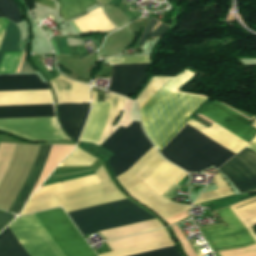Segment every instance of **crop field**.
I'll return each instance as SVG.
<instances>
[{
    "label": "crop field",
    "instance_id": "obj_15",
    "mask_svg": "<svg viewBox=\"0 0 256 256\" xmlns=\"http://www.w3.org/2000/svg\"><path fill=\"white\" fill-rule=\"evenodd\" d=\"M172 245H174V244H173L172 240L169 239V240H165V241L141 245V246L132 247V248H128V249L104 253V254H100L99 256H128V255H133V254L146 252V251H150V250H155V249L168 247V246H172ZM133 256H180V255L177 252L175 246H172V247L159 249V250H155V251H150V252L137 254V255H133Z\"/></svg>",
    "mask_w": 256,
    "mask_h": 256
},
{
    "label": "crop field",
    "instance_id": "obj_9",
    "mask_svg": "<svg viewBox=\"0 0 256 256\" xmlns=\"http://www.w3.org/2000/svg\"><path fill=\"white\" fill-rule=\"evenodd\" d=\"M93 99L92 102L96 101V92L92 93ZM125 98L116 96L112 93L105 95L104 101H111V112L110 111V102H94L92 103L91 114L89 117V122L83 132V135L80 141L90 142L97 144L100 135L103 131L105 122V128L101 135V138L98 142L100 146L108 137L109 132L112 128L113 123L118 118L124 104Z\"/></svg>",
    "mask_w": 256,
    "mask_h": 256
},
{
    "label": "crop field",
    "instance_id": "obj_16",
    "mask_svg": "<svg viewBox=\"0 0 256 256\" xmlns=\"http://www.w3.org/2000/svg\"><path fill=\"white\" fill-rule=\"evenodd\" d=\"M99 183H100V181L98 180L96 175L79 178V179H75V180H70V181H66L64 183H58V184L39 188L37 190V192L30 198V200L39 198V197H43V196H47V195H51V194H56V193L74 190V189H78V188H82V187H86V186H91V185H95V184H99Z\"/></svg>",
    "mask_w": 256,
    "mask_h": 256
},
{
    "label": "crop field",
    "instance_id": "obj_25",
    "mask_svg": "<svg viewBox=\"0 0 256 256\" xmlns=\"http://www.w3.org/2000/svg\"><path fill=\"white\" fill-rule=\"evenodd\" d=\"M221 256H256V245L233 251L219 252Z\"/></svg>",
    "mask_w": 256,
    "mask_h": 256
},
{
    "label": "crop field",
    "instance_id": "obj_29",
    "mask_svg": "<svg viewBox=\"0 0 256 256\" xmlns=\"http://www.w3.org/2000/svg\"><path fill=\"white\" fill-rule=\"evenodd\" d=\"M13 218L12 215L0 212V230Z\"/></svg>",
    "mask_w": 256,
    "mask_h": 256
},
{
    "label": "crop field",
    "instance_id": "obj_35",
    "mask_svg": "<svg viewBox=\"0 0 256 256\" xmlns=\"http://www.w3.org/2000/svg\"><path fill=\"white\" fill-rule=\"evenodd\" d=\"M103 5L108 3L110 0H99Z\"/></svg>",
    "mask_w": 256,
    "mask_h": 256
},
{
    "label": "crop field",
    "instance_id": "obj_12",
    "mask_svg": "<svg viewBox=\"0 0 256 256\" xmlns=\"http://www.w3.org/2000/svg\"><path fill=\"white\" fill-rule=\"evenodd\" d=\"M127 191L164 219L190 209V206L171 202L161 197L142 182Z\"/></svg>",
    "mask_w": 256,
    "mask_h": 256
},
{
    "label": "crop field",
    "instance_id": "obj_5",
    "mask_svg": "<svg viewBox=\"0 0 256 256\" xmlns=\"http://www.w3.org/2000/svg\"><path fill=\"white\" fill-rule=\"evenodd\" d=\"M152 147L140 123L133 121L106 148L114 154L107 162L115 177L128 171ZM163 160L153 147L117 179L127 190L144 180ZM183 172L164 160L143 182L161 195Z\"/></svg>",
    "mask_w": 256,
    "mask_h": 256
},
{
    "label": "crop field",
    "instance_id": "obj_22",
    "mask_svg": "<svg viewBox=\"0 0 256 256\" xmlns=\"http://www.w3.org/2000/svg\"><path fill=\"white\" fill-rule=\"evenodd\" d=\"M1 16L15 23L24 20L14 0H0V17Z\"/></svg>",
    "mask_w": 256,
    "mask_h": 256
},
{
    "label": "crop field",
    "instance_id": "obj_4",
    "mask_svg": "<svg viewBox=\"0 0 256 256\" xmlns=\"http://www.w3.org/2000/svg\"><path fill=\"white\" fill-rule=\"evenodd\" d=\"M102 184L55 195L66 212L126 199L109 179L103 165L95 172ZM82 235L154 219L129 199L68 213Z\"/></svg>",
    "mask_w": 256,
    "mask_h": 256
},
{
    "label": "crop field",
    "instance_id": "obj_7",
    "mask_svg": "<svg viewBox=\"0 0 256 256\" xmlns=\"http://www.w3.org/2000/svg\"><path fill=\"white\" fill-rule=\"evenodd\" d=\"M230 207L256 241V233L251 228L256 224V196ZM231 210L229 207L217 210L229 227L223 228L222 225H219L201 229L214 251L255 244Z\"/></svg>",
    "mask_w": 256,
    "mask_h": 256
},
{
    "label": "crop field",
    "instance_id": "obj_13",
    "mask_svg": "<svg viewBox=\"0 0 256 256\" xmlns=\"http://www.w3.org/2000/svg\"><path fill=\"white\" fill-rule=\"evenodd\" d=\"M90 103L59 104L58 116L64 130L78 140L88 117Z\"/></svg>",
    "mask_w": 256,
    "mask_h": 256
},
{
    "label": "crop field",
    "instance_id": "obj_2",
    "mask_svg": "<svg viewBox=\"0 0 256 256\" xmlns=\"http://www.w3.org/2000/svg\"><path fill=\"white\" fill-rule=\"evenodd\" d=\"M65 256H96L61 208L34 214ZM33 214L8 227L29 256H64ZM8 227L0 234V256H28Z\"/></svg>",
    "mask_w": 256,
    "mask_h": 256
},
{
    "label": "crop field",
    "instance_id": "obj_31",
    "mask_svg": "<svg viewBox=\"0 0 256 256\" xmlns=\"http://www.w3.org/2000/svg\"><path fill=\"white\" fill-rule=\"evenodd\" d=\"M62 40H63L64 46H65L66 53H67V54H69V50H68V47H67L66 40H65V39H62ZM62 40H61V39H59V41H60V45H61V49H62V53H63V54H66V53H65V50H64V47H63ZM51 42H52V44H53V46H54V48H55V50H56V54H57V55H59V54H58V51H57V49H56V46H55L54 41H53V40H51Z\"/></svg>",
    "mask_w": 256,
    "mask_h": 256
},
{
    "label": "crop field",
    "instance_id": "obj_32",
    "mask_svg": "<svg viewBox=\"0 0 256 256\" xmlns=\"http://www.w3.org/2000/svg\"><path fill=\"white\" fill-rule=\"evenodd\" d=\"M35 1L55 9L54 2L51 0H35Z\"/></svg>",
    "mask_w": 256,
    "mask_h": 256
},
{
    "label": "crop field",
    "instance_id": "obj_10",
    "mask_svg": "<svg viewBox=\"0 0 256 256\" xmlns=\"http://www.w3.org/2000/svg\"><path fill=\"white\" fill-rule=\"evenodd\" d=\"M241 192L256 191V154L244 149L219 168Z\"/></svg>",
    "mask_w": 256,
    "mask_h": 256
},
{
    "label": "crop field",
    "instance_id": "obj_3",
    "mask_svg": "<svg viewBox=\"0 0 256 256\" xmlns=\"http://www.w3.org/2000/svg\"><path fill=\"white\" fill-rule=\"evenodd\" d=\"M48 89L37 74L0 76V91ZM52 103L50 90L0 92L1 105ZM54 116L52 104L1 106L0 118ZM0 129L32 141L67 139L55 123V117L0 119Z\"/></svg>",
    "mask_w": 256,
    "mask_h": 256
},
{
    "label": "crop field",
    "instance_id": "obj_21",
    "mask_svg": "<svg viewBox=\"0 0 256 256\" xmlns=\"http://www.w3.org/2000/svg\"><path fill=\"white\" fill-rule=\"evenodd\" d=\"M97 159L85 153L79 148L65 158L59 166H87L92 165Z\"/></svg>",
    "mask_w": 256,
    "mask_h": 256
},
{
    "label": "crop field",
    "instance_id": "obj_33",
    "mask_svg": "<svg viewBox=\"0 0 256 256\" xmlns=\"http://www.w3.org/2000/svg\"><path fill=\"white\" fill-rule=\"evenodd\" d=\"M256 139V138H255ZM253 140L251 143L247 145L248 148L252 149L256 153V140Z\"/></svg>",
    "mask_w": 256,
    "mask_h": 256
},
{
    "label": "crop field",
    "instance_id": "obj_11",
    "mask_svg": "<svg viewBox=\"0 0 256 256\" xmlns=\"http://www.w3.org/2000/svg\"><path fill=\"white\" fill-rule=\"evenodd\" d=\"M148 64L113 65L109 91L129 96L143 82Z\"/></svg>",
    "mask_w": 256,
    "mask_h": 256
},
{
    "label": "crop field",
    "instance_id": "obj_18",
    "mask_svg": "<svg viewBox=\"0 0 256 256\" xmlns=\"http://www.w3.org/2000/svg\"><path fill=\"white\" fill-rule=\"evenodd\" d=\"M60 5V15L67 21L86 12L84 9L98 3L96 0H56Z\"/></svg>",
    "mask_w": 256,
    "mask_h": 256
},
{
    "label": "crop field",
    "instance_id": "obj_23",
    "mask_svg": "<svg viewBox=\"0 0 256 256\" xmlns=\"http://www.w3.org/2000/svg\"><path fill=\"white\" fill-rule=\"evenodd\" d=\"M23 52L0 53V73L15 72Z\"/></svg>",
    "mask_w": 256,
    "mask_h": 256
},
{
    "label": "crop field",
    "instance_id": "obj_26",
    "mask_svg": "<svg viewBox=\"0 0 256 256\" xmlns=\"http://www.w3.org/2000/svg\"><path fill=\"white\" fill-rule=\"evenodd\" d=\"M109 64L148 63V57H113L108 58Z\"/></svg>",
    "mask_w": 256,
    "mask_h": 256
},
{
    "label": "crop field",
    "instance_id": "obj_8",
    "mask_svg": "<svg viewBox=\"0 0 256 256\" xmlns=\"http://www.w3.org/2000/svg\"><path fill=\"white\" fill-rule=\"evenodd\" d=\"M25 144L0 143V205L8 194L17 173ZM48 145H38L29 178L9 212L18 214L37 188Z\"/></svg>",
    "mask_w": 256,
    "mask_h": 256
},
{
    "label": "crop field",
    "instance_id": "obj_1",
    "mask_svg": "<svg viewBox=\"0 0 256 256\" xmlns=\"http://www.w3.org/2000/svg\"><path fill=\"white\" fill-rule=\"evenodd\" d=\"M201 114L249 142L256 135V119L252 127L249 125L251 121L217 101L206 107ZM190 119L186 123L236 153L249 143L215 123L207 129ZM188 124L181 127L178 134L169 140L170 143L161 149L166 159L187 171H201L211 165L218 168L236 154Z\"/></svg>",
    "mask_w": 256,
    "mask_h": 256
},
{
    "label": "crop field",
    "instance_id": "obj_27",
    "mask_svg": "<svg viewBox=\"0 0 256 256\" xmlns=\"http://www.w3.org/2000/svg\"><path fill=\"white\" fill-rule=\"evenodd\" d=\"M172 228H173L174 232L176 233V235L178 236V238L180 239L182 246H183L184 250L186 251V253L188 254V256L196 255L194 250L192 249V247L186 240L185 236L181 232L180 228L177 225H173Z\"/></svg>",
    "mask_w": 256,
    "mask_h": 256
},
{
    "label": "crop field",
    "instance_id": "obj_34",
    "mask_svg": "<svg viewBox=\"0 0 256 256\" xmlns=\"http://www.w3.org/2000/svg\"><path fill=\"white\" fill-rule=\"evenodd\" d=\"M71 23H72V25L77 29V31H78L79 33H82V32L80 31V29L75 25V23H74L73 21H71Z\"/></svg>",
    "mask_w": 256,
    "mask_h": 256
},
{
    "label": "crop field",
    "instance_id": "obj_6",
    "mask_svg": "<svg viewBox=\"0 0 256 256\" xmlns=\"http://www.w3.org/2000/svg\"><path fill=\"white\" fill-rule=\"evenodd\" d=\"M195 74L185 71L171 78L153 77L148 87L137 98L146 133L157 147H161L174 131L206 98L175 92Z\"/></svg>",
    "mask_w": 256,
    "mask_h": 256
},
{
    "label": "crop field",
    "instance_id": "obj_30",
    "mask_svg": "<svg viewBox=\"0 0 256 256\" xmlns=\"http://www.w3.org/2000/svg\"><path fill=\"white\" fill-rule=\"evenodd\" d=\"M186 218H187V217H186L185 213L183 212V213H181V214H179V215H176V216H174V217H171V218H169V219H166V221H167V223H168L169 225H171V224H173V223L179 222V221L184 220V219H186Z\"/></svg>",
    "mask_w": 256,
    "mask_h": 256
},
{
    "label": "crop field",
    "instance_id": "obj_20",
    "mask_svg": "<svg viewBox=\"0 0 256 256\" xmlns=\"http://www.w3.org/2000/svg\"><path fill=\"white\" fill-rule=\"evenodd\" d=\"M214 179L218 190L201 194L194 205L200 204L207 200L232 195V192L230 191L225 181L222 180L220 174L214 176Z\"/></svg>",
    "mask_w": 256,
    "mask_h": 256
},
{
    "label": "crop field",
    "instance_id": "obj_14",
    "mask_svg": "<svg viewBox=\"0 0 256 256\" xmlns=\"http://www.w3.org/2000/svg\"><path fill=\"white\" fill-rule=\"evenodd\" d=\"M50 83L54 88L58 103L90 101V87L88 85L69 81L62 76L50 80Z\"/></svg>",
    "mask_w": 256,
    "mask_h": 256
},
{
    "label": "crop field",
    "instance_id": "obj_19",
    "mask_svg": "<svg viewBox=\"0 0 256 256\" xmlns=\"http://www.w3.org/2000/svg\"><path fill=\"white\" fill-rule=\"evenodd\" d=\"M60 206L54 195L28 201L20 215Z\"/></svg>",
    "mask_w": 256,
    "mask_h": 256
},
{
    "label": "crop field",
    "instance_id": "obj_24",
    "mask_svg": "<svg viewBox=\"0 0 256 256\" xmlns=\"http://www.w3.org/2000/svg\"><path fill=\"white\" fill-rule=\"evenodd\" d=\"M158 21H156L155 19H153L147 26L146 30L143 33V36L140 40V42L137 44L138 46H143V44L145 43L147 37L149 36L152 28L157 24ZM170 27L165 26L163 24H161L154 32L151 36H160L163 35V33Z\"/></svg>",
    "mask_w": 256,
    "mask_h": 256
},
{
    "label": "crop field",
    "instance_id": "obj_17",
    "mask_svg": "<svg viewBox=\"0 0 256 256\" xmlns=\"http://www.w3.org/2000/svg\"><path fill=\"white\" fill-rule=\"evenodd\" d=\"M9 21L0 18V42ZM20 34L15 24L9 22L0 45V51H19Z\"/></svg>",
    "mask_w": 256,
    "mask_h": 256
},
{
    "label": "crop field",
    "instance_id": "obj_28",
    "mask_svg": "<svg viewBox=\"0 0 256 256\" xmlns=\"http://www.w3.org/2000/svg\"><path fill=\"white\" fill-rule=\"evenodd\" d=\"M125 128L119 127L102 145L101 147L106 148Z\"/></svg>",
    "mask_w": 256,
    "mask_h": 256
}]
</instances>
